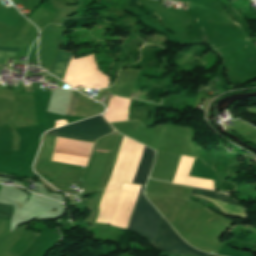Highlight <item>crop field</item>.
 <instances>
[{"mask_svg":"<svg viewBox=\"0 0 256 256\" xmlns=\"http://www.w3.org/2000/svg\"><path fill=\"white\" fill-rule=\"evenodd\" d=\"M153 247L160 252L172 255L213 256L201 253L189 247L177 236L163 218L161 219Z\"/></svg>","mask_w":256,"mask_h":256,"instance_id":"obj_4","label":"crop field"},{"mask_svg":"<svg viewBox=\"0 0 256 256\" xmlns=\"http://www.w3.org/2000/svg\"><path fill=\"white\" fill-rule=\"evenodd\" d=\"M193 191L207 194V195L221 199L223 202H225L229 206V211H230L231 217L245 219L243 207L240 206L239 204H237L232 199H230L228 196H226L224 194L216 193L213 191L196 189V188H194Z\"/></svg>","mask_w":256,"mask_h":256,"instance_id":"obj_6","label":"crop field"},{"mask_svg":"<svg viewBox=\"0 0 256 256\" xmlns=\"http://www.w3.org/2000/svg\"><path fill=\"white\" fill-rule=\"evenodd\" d=\"M154 155H155L154 151L146 147L144 148L143 154L141 156V159L132 183L142 184V185L146 184Z\"/></svg>","mask_w":256,"mask_h":256,"instance_id":"obj_5","label":"crop field"},{"mask_svg":"<svg viewBox=\"0 0 256 256\" xmlns=\"http://www.w3.org/2000/svg\"><path fill=\"white\" fill-rule=\"evenodd\" d=\"M13 212V206L0 204V218L10 220Z\"/></svg>","mask_w":256,"mask_h":256,"instance_id":"obj_7","label":"crop field"},{"mask_svg":"<svg viewBox=\"0 0 256 256\" xmlns=\"http://www.w3.org/2000/svg\"><path fill=\"white\" fill-rule=\"evenodd\" d=\"M79 95H80V93L76 92V96H75L73 107H72L71 114H70L72 116L74 115V112L76 110L78 99H79Z\"/></svg>","mask_w":256,"mask_h":256,"instance_id":"obj_8","label":"crop field"},{"mask_svg":"<svg viewBox=\"0 0 256 256\" xmlns=\"http://www.w3.org/2000/svg\"><path fill=\"white\" fill-rule=\"evenodd\" d=\"M0 50H4V51H17L18 48H7V47H0ZM19 51V50H18Z\"/></svg>","mask_w":256,"mask_h":256,"instance_id":"obj_9","label":"crop field"},{"mask_svg":"<svg viewBox=\"0 0 256 256\" xmlns=\"http://www.w3.org/2000/svg\"><path fill=\"white\" fill-rule=\"evenodd\" d=\"M72 57L69 52L59 51L51 74L64 81ZM108 80L109 78L99 71L93 55L89 54L77 59L73 57L65 82L75 88H103Z\"/></svg>","mask_w":256,"mask_h":256,"instance_id":"obj_1","label":"crop field"},{"mask_svg":"<svg viewBox=\"0 0 256 256\" xmlns=\"http://www.w3.org/2000/svg\"><path fill=\"white\" fill-rule=\"evenodd\" d=\"M143 187L141 186L140 188L133 213L126 229L142 235L149 244L153 245L161 216L142 195Z\"/></svg>","mask_w":256,"mask_h":256,"instance_id":"obj_2","label":"crop field"},{"mask_svg":"<svg viewBox=\"0 0 256 256\" xmlns=\"http://www.w3.org/2000/svg\"><path fill=\"white\" fill-rule=\"evenodd\" d=\"M113 130L108 122L102 116L98 115L88 120L60 127L46 134L94 143L97 138Z\"/></svg>","mask_w":256,"mask_h":256,"instance_id":"obj_3","label":"crop field"}]
</instances>
